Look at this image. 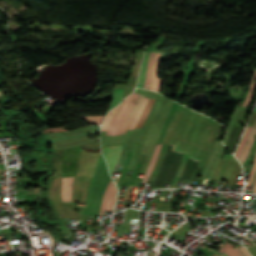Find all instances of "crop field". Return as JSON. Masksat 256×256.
I'll return each mask as SVG.
<instances>
[{"instance_id":"crop-field-1","label":"crop field","mask_w":256,"mask_h":256,"mask_svg":"<svg viewBox=\"0 0 256 256\" xmlns=\"http://www.w3.org/2000/svg\"><path fill=\"white\" fill-rule=\"evenodd\" d=\"M90 179L91 178L89 177L75 176L71 202L84 201ZM109 181L110 178L107 174L106 163L101 155L94 170L84 201L87 205L83 208L82 213L98 216L102 196Z\"/></svg>"},{"instance_id":"crop-field-2","label":"crop field","mask_w":256,"mask_h":256,"mask_svg":"<svg viewBox=\"0 0 256 256\" xmlns=\"http://www.w3.org/2000/svg\"><path fill=\"white\" fill-rule=\"evenodd\" d=\"M143 97L142 95L134 93L117 108L109 112L102 127V130L107 131L106 135H121L127 133Z\"/></svg>"},{"instance_id":"crop-field-3","label":"crop field","mask_w":256,"mask_h":256,"mask_svg":"<svg viewBox=\"0 0 256 256\" xmlns=\"http://www.w3.org/2000/svg\"><path fill=\"white\" fill-rule=\"evenodd\" d=\"M60 187H61V176H58L51 182V188H50V198H51V201L54 203L58 213L60 214L61 218L79 219L80 214L75 212L73 204L61 203Z\"/></svg>"},{"instance_id":"crop-field-4","label":"crop field","mask_w":256,"mask_h":256,"mask_svg":"<svg viewBox=\"0 0 256 256\" xmlns=\"http://www.w3.org/2000/svg\"><path fill=\"white\" fill-rule=\"evenodd\" d=\"M117 190L116 187L111 180L104 196H103V201L101 205V210L99 215H103V213L108 210V211H113L114 204H115V198H116Z\"/></svg>"},{"instance_id":"crop-field-5","label":"crop field","mask_w":256,"mask_h":256,"mask_svg":"<svg viewBox=\"0 0 256 256\" xmlns=\"http://www.w3.org/2000/svg\"><path fill=\"white\" fill-rule=\"evenodd\" d=\"M123 146H113V147H105L103 155L108 163L109 173L112 176V173L118 163L119 157L121 155Z\"/></svg>"},{"instance_id":"crop-field-6","label":"crop field","mask_w":256,"mask_h":256,"mask_svg":"<svg viewBox=\"0 0 256 256\" xmlns=\"http://www.w3.org/2000/svg\"><path fill=\"white\" fill-rule=\"evenodd\" d=\"M162 54L163 53H156L154 67H153L152 80H151V84H150V88H149L150 90L157 91V92L160 91V87H161V83H162V79H157Z\"/></svg>"},{"instance_id":"crop-field-7","label":"crop field","mask_w":256,"mask_h":256,"mask_svg":"<svg viewBox=\"0 0 256 256\" xmlns=\"http://www.w3.org/2000/svg\"><path fill=\"white\" fill-rule=\"evenodd\" d=\"M73 178H62V201L70 202L71 200Z\"/></svg>"},{"instance_id":"crop-field-8","label":"crop field","mask_w":256,"mask_h":256,"mask_svg":"<svg viewBox=\"0 0 256 256\" xmlns=\"http://www.w3.org/2000/svg\"><path fill=\"white\" fill-rule=\"evenodd\" d=\"M255 136H256V129L253 128L250 135H249L246 146H245V148H244V150H243V152H242V154L239 158L242 165H243V163H244V161H245V159H246V157H247V155H248V153H249V151L252 147V143H253V140H254Z\"/></svg>"},{"instance_id":"crop-field-9","label":"crop field","mask_w":256,"mask_h":256,"mask_svg":"<svg viewBox=\"0 0 256 256\" xmlns=\"http://www.w3.org/2000/svg\"><path fill=\"white\" fill-rule=\"evenodd\" d=\"M148 57H149V53H145V58H144V61L142 63V66H141L137 87H141L142 88L143 85H144L146 69H147V65H148Z\"/></svg>"},{"instance_id":"crop-field-10","label":"crop field","mask_w":256,"mask_h":256,"mask_svg":"<svg viewBox=\"0 0 256 256\" xmlns=\"http://www.w3.org/2000/svg\"><path fill=\"white\" fill-rule=\"evenodd\" d=\"M161 145H162V144H159V145L156 146L154 155H153V157H152V159H151V162H150V164H149V167H148V169H147V172H146V174H145V176H144V179H143V182H142V183H146V182H147V180H148V178H149V176H150V174H151V171H152V169H153V167H154V165H155V163H156L157 156H158L159 150H160V148H161Z\"/></svg>"},{"instance_id":"crop-field-11","label":"crop field","mask_w":256,"mask_h":256,"mask_svg":"<svg viewBox=\"0 0 256 256\" xmlns=\"http://www.w3.org/2000/svg\"><path fill=\"white\" fill-rule=\"evenodd\" d=\"M142 56H143V53H138L134 68L131 73V79H130L129 85L135 86V81H136V77H137V73H138L140 63H141Z\"/></svg>"},{"instance_id":"crop-field-12","label":"crop field","mask_w":256,"mask_h":256,"mask_svg":"<svg viewBox=\"0 0 256 256\" xmlns=\"http://www.w3.org/2000/svg\"><path fill=\"white\" fill-rule=\"evenodd\" d=\"M123 91L124 90H122V89H115L113 99L107 109V112L109 110H111L113 107L117 106L122 101ZM107 112H106V114H107Z\"/></svg>"},{"instance_id":"crop-field-13","label":"crop field","mask_w":256,"mask_h":256,"mask_svg":"<svg viewBox=\"0 0 256 256\" xmlns=\"http://www.w3.org/2000/svg\"><path fill=\"white\" fill-rule=\"evenodd\" d=\"M148 100H149L148 98H146V97L144 98V100H143V102H142V104H141V106H140V108H139V110H138V112H137L129 130H134L135 129V127H136V125H137V123H138L146 105H147Z\"/></svg>"},{"instance_id":"crop-field-14","label":"crop field","mask_w":256,"mask_h":256,"mask_svg":"<svg viewBox=\"0 0 256 256\" xmlns=\"http://www.w3.org/2000/svg\"><path fill=\"white\" fill-rule=\"evenodd\" d=\"M154 55H155V52L150 53L149 65H148L147 76H146V82H145V85L143 87V88H146V89L149 88V84H150Z\"/></svg>"},{"instance_id":"crop-field-15","label":"crop field","mask_w":256,"mask_h":256,"mask_svg":"<svg viewBox=\"0 0 256 256\" xmlns=\"http://www.w3.org/2000/svg\"><path fill=\"white\" fill-rule=\"evenodd\" d=\"M255 89H256V72L254 73V76H253V79H252V82L250 85V89H249V94H248V97H247L246 101L244 102L243 106L249 105V103L254 95Z\"/></svg>"},{"instance_id":"crop-field-16","label":"crop field","mask_w":256,"mask_h":256,"mask_svg":"<svg viewBox=\"0 0 256 256\" xmlns=\"http://www.w3.org/2000/svg\"><path fill=\"white\" fill-rule=\"evenodd\" d=\"M250 129H251L250 127H247V129H246V131H245V133L243 135V138H242V140H241V142L239 144V147H238L237 151L234 154L236 156V158L239 157L240 153L242 152V150H243V148L245 146V143H246L247 137L249 135Z\"/></svg>"},{"instance_id":"crop-field-17","label":"crop field","mask_w":256,"mask_h":256,"mask_svg":"<svg viewBox=\"0 0 256 256\" xmlns=\"http://www.w3.org/2000/svg\"><path fill=\"white\" fill-rule=\"evenodd\" d=\"M232 247L233 245L226 243V245L219 250L223 251L228 256H240Z\"/></svg>"},{"instance_id":"crop-field-18","label":"crop field","mask_w":256,"mask_h":256,"mask_svg":"<svg viewBox=\"0 0 256 256\" xmlns=\"http://www.w3.org/2000/svg\"><path fill=\"white\" fill-rule=\"evenodd\" d=\"M187 159H188V158H187L186 156H184L183 161H182V163H181V166H180V168H179V171H178V173H177V175H176V177H175V179H174V181H173V183H172V185H171L170 188H175V186H176V184H177V182H178V180H179V178H180V176H181V174H182V171H183V169H184V166H185V164H186Z\"/></svg>"},{"instance_id":"crop-field-19","label":"crop field","mask_w":256,"mask_h":256,"mask_svg":"<svg viewBox=\"0 0 256 256\" xmlns=\"http://www.w3.org/2000/svg\"><path fill=\"white\" fill-rule=\"evenodd\" d=\"M153 103H154V100L151 99L150 102H149V104H148V106L146 107V109H145V111H144V113H143L141 119H140V122H139L137 128H139V127L142 126V124H143V122H144V120H145L147 114L149 113V111H150V109H151Z\"/></svg>"},{"instance_id":"crop-field-20","label":"crop field","mask_w":256,"mask_h":256,"mask_svg":"<svg viewBox=\"0 0 256 256\" xmlns=\"http://www.w3.org/2000/svg\"><path fill=\"white\" fill-rule=\"evenodd\" d=\"M88 122L100 123L102 124L105 116H91V117H83Z\"/></svg>"},{"instance_id":"crop-field-21","label":"crop field","mask_w":256,"mask_h":256,"mask_svg":"<svg viewBox=\"0 0 256 256\" xmlns=\"http://www.w3.org/2000/svg\"><path fill=\"white\" fill-rule=\"evenodd\" d=\"M255 169H256V159H255L254 166H253V168H252V170H251L250 178H249V181H248V184H247L246 187H250V184H251V182H252V178H253Z\"/></svg>"},{"instance_id":"crop-field-22","label":"crop field","mask_w":256,"mask_h":256,"mask_svg":"<svg viewBox=\"0 0 256 256\" xmlns=\"http://www.w3.org/2000/svg\"><path fill=\"white\" fill-rule=\"evenodd\" d=\"M239 249L243 252L245 256H250V254L246 251V249L240 245Z\"/></svg>"},{"instance_id":"crop-field-23","label":"crop field","mask_w":256,"mask_h":256,"mask_svg":"<svg viewBox=\"0 0 256 256\" xmlns=\"http://www.w3.org/2000/svg\"><path fill=\"white\" fill-rule=\"evenodd\" d=\"M0 172H6L4 164H0Z\"/></svg>"},{"instance_id":"crop-field-24","label":"crop field","mask_w":256,"mask_h":256,"mask_svg":"<svg viewBox=\"0 0 256 256\" xmlns=\"http://www.w3.org/2000/svg\"><path fill=\"white\" fill-rule=\"evenodd\" d=\"M255 182H256V172H255V175H254V178H253V182H252V184L254 185V184H255Z\"/></svg>"},{"instance_id":"crop-field-25","label":"crop field","mask_w":256,"mask_h":256,"mask_svg":"<svg viewBox=\"0 0 256 256\" xmlns=\"http://www.w3.org/2000/svg\"><path fill=\"white\" fill-rule=\"evenodd\" d=\"M211 251H213V252H215V253H217L218 255L219 254H221V253H219V252H217V251H215V250H212V249H210ZM224 256H226L224 253H222Z\"/></svg>"},{"instance_id":"crop-field-26","label":"crop field","mask_w":256,"mask_h":256,"mask_svg":"<svg viewBox=\"0 0 256 256\" xmlns=\"http://www.w3.org/2000/svg\"><path fill=\"white\" fill-rule=\"evenodd\" d=\"M234 248L240 253L241 256H243V255L241 254V252H240L235 246H234Z\"/></svg>"},{"instance_id":"crop-field-27","label":"crop field","mask_w":256,"mask_h":256,"mask_svg":"<svg viewBox=\"0 0 256 256\" xmlns=\"http://www.w3.org/2000/svg\"><path fill=\"white\" fill-rule=\"evenodd\" d=\"M252 192H256V185H255V187H254V189H253V191Z\"/></svg>"},{"instance_id":"crop-field-28","label":"crop field","mask_w":256,"mask_h":256,"mask_svg":"<svg viewBox=\"0 0 256 256\" xmlns=\"http://www.w3.org/2000/svg\"><path fill=\"white\" fill-rule=\"evenodd\" d=\"M219 256H223V255L221 254V255H219Z\"/></svg>"},{"instance_id":"crop-field-29","label":"crop field","mask_w":256,"mask_h":256,"mask_svg":"<svg viewBox=\"0 0 256 256\" xmlns=\"http://www.w3.org/2000/svg\"><path fill=\"white\" fill-rule=\"evenodd\" d=\"M215 256H217V255H215Z\"/></svg>"}]
</instances>
